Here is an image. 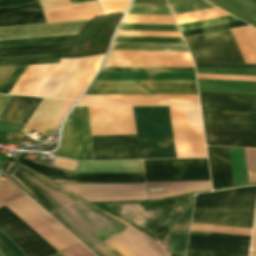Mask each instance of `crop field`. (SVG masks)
Wrapping results in <instances>:
<instances>
[{
  "mask_svg": "<svg viewBox=\"0 0 256 256\" xmlns=\"http://www.w3.org/2000/svg\"><path fill=\"white\" fill-rule=\"evenodd\" d=\"M71 45L72 43L0 48V57L66 53Z\"/></svg>",
  "mask_w": 256,
  "mask_h": 256,
  "instance_id": "4177f3b9",
  "label": "crop field"
},
{
  "mask_svg": "<svg viewBox=\"0 0 256 256\" xmlns=\"http://www.w3.org/2000/svg\"><path fill=\"white\" fill-rule=\"evenodd\" d=\"M27 67L28 66H18V68L15 70V72L10 77L0 93L8 94L12 87L15 85V83L18 81V79L21 77V75L24 73V71L27 69Z\"/></svg>",
  "mask_w": 256,
  "mask_h": 256,
  "instance_id": "5d738f31",
  "label": "crop field"
},
{
  "mask_svg": "<svg viewBox=\"0 0 256 256\" xmlns=\"http://www.w3.org/2000/svg\"><path fill=\"white\" fill-rule=\"evenodd\" d=\"M58 156L94 160L87 107H75L67 118Z\"/></svg>",
  "mask_w": 256,
  "mask_h": 256,
  "instance_id": "28ad6ade",
  "label": "crop field"
},
{
  "mask_svg": "<svg viewBox=\"0 0 256 256\" xmlns=\"http://www.w3.org/2000/svg\"><path fill=\"white\" fill-rule=\"evenodd\" d=\"M101 72H194V68H102Z\"/></svg>",
  "mask_w": 256,
  "mask_h": 256,
  "instance_id": "028f5c9d",
  "label": "crop field"
},
{
  "mask_svg": "<svg viewBox=\"0 0 256 256\" xmlns=\"http://www.w3.org/2000/svg\"><path fill=\"white\" fill-rule=\"evenodd\" d=\"M59 58H66V54L34 57L0 58V66L58 63Z\"/></svg>",
  "mask_w": 256,
  "mask_h": 256,
  "instance_id": "ae1a2a85",
  "label": "crop field"
},
{
  "mask_svg": "<svg viewBox=\"0 0 256 256\" xmlns=\"http://www.w3.org/2000/svg\"><path fill=\"white\" fill-rule=\"evenodd\" d=\"M53 256H61L59 253H57V254H55V255H53Z\"/></svg>",
  "mask_w": 256,
  "mask_h": 256,
  "instance_id": "7b73153f",
  "label": "crop field"
},
{
  "mask_svg": "<svg viewBox=\"0 0 256 256\" xmlns=\"http://www.w3.org/2000/svg\"><path fill=\"white\" fill-rule=\"evenodd\" d=\"M47 23L102 17L96 1L43 11Z\"/></svg>",
  "mask_w": 256,
  "mask_h": 256,
  "instance_id": "bc2a9ffb",
  "label": "crop field"
},
{
  "mask_svg": "<svg viewBox=\"0 0 256 256\" xmlns=\"http://www.w3.org/2000/svg\"><path fill=\"white\" fill-rule=\"evenodd\" d=\"M250 256H256V250L255 251H251V255Z\"/></svg>",
  "mask_w": 256,
  "mask_h": 256,
  "instance_id": "db79e9e6",
  "label": "crop field"
},
{
  "mask_svg": "<svg viewBox=\"0 0 256 256\" xmlns=\"http://www.w3.org/2000/svg\"><path fill=\"white\" fill-rule=\"evenodd\" d=\"M233 21H239V20L232 16H228V17L204 20V21H199V22L181 24L179 26H180L181 30L184 31V30L201 28V27L217 25V24H222V23H228V22H233Z\"/></svg>",
  "mask_w": 256,
  "mask_h": 256,
  "instance_id": "b80d0937",
  "label": "crop field"
},
{
  "mask_svg": "<svg viewBox=\"0 0 256 256\" xmlns=\"http://www.w3.org/2000/svg\"><path fill=\"white\" fill-rule=\"evenodd\" d=\"M196 67L253 69L245 64L229 29L184 38Z\"/></svg>",
  "mask_w": 256,
  "mask_h": 256,
  "instance_id": "e52e79f7",
  "label": "crop field"
},
{
  "mask_svg": "<svg viewBox=\"0 0 256 256\" xmlns=\"http://www.w3.org/2000/svg\"><path fill=\"white\" fill-rule=\"evenodd\" d=\"M76 37L77 36L32 39V40H18V41H4V42H0V47L74 42Z\"/></svg>",
  "mask_w": 256,
  "mask_h": 256,
  "instance_id": "bd1437ed",
  "label": "crop field"
},
{
  "mask_svg": "<svg viewBox=\"0 0 256 256\" xmlns=\"http://www.w3.org/2000/svg\"><path fill=\"white\" fill-rule=\"evenodd\" d=\"M127 14L172 15L167 5L131 4Z\"/></svg>",
  "mask_w": 256,
  "mask_h": 256,
  "instance_id": "750c4746",
  "label": "crop field"
},
{
  "mask_svg": "<svg viewBox=\"0 0 256 256\" xmlns=\"http://www.w3.org/2000/svg\"><path fill=\"white\" fill-rule=\"evenodd\" d=\"M53 164L57 165L59 167L65 168L67 170L73 171L77 162L67 161V160H62V159L56 158Z\"/></svg>",
  "mask_w": 256,
  "mask_h": 256,
  "instance_id": "1f2cbd36",
  "label": "crop field"
},
{
  "mask_svg": "<svg viewBox=\"0 0 256 256\" xmlns=\"http://www.w3.org/2000/svg\"><path fill=\"white\" fill-rule=\"evenodd\" d=\"M77 105H199L197 96H83Z\"/></svg>",
  "mask_w": 256,
  "mask_h": 256,
  "instance_id": "5142ce71",
  "label": "crop field"
},
{
  "mask_svg": "<svg viewBox=\"0 0 256 256\" xmlns=\"http://www.w3.org/2000/svg\"><path fill=\"white\" fill-rule=\"evenodd\" d=\"M41 99L12 96L0 115V120L25 125Z\"/></svg>",
  "mask_w": 256,
  "mask_h": 256,
  "instance_id": "00972430",
  "label": "crop field"
},
{
  "mask_svg": "<svg viewBox=\"0 0 256 256\" xmlns=\"http://www.w3.org/2000/svg\"><path fill=\"white\" fill-rule=\"evenodd\" d=\"M88 1H93V0H70L71 4H77V3L88 2Z\"/></svg>",
  "mask_w": 256,
  "mask_h": 256,
  "instance_id": "447ae74e",
  "label": "crop field"
},
{
  "mask_svg": "<svg viewBox=\"0 0 256 256\" xmlns=\"http://www.w3.org/2000/svg\"><path fill=\"white\" fill-rule=\"evenodd\" d=\"M177 158L206 157L199 107H169Z\"/></svg>",
  "mask_w": 256,
  "mask_h": 256,
  "instance_id": "3316defc",
  "label": "crop field"
},
{
  "mask_svg": "<svg viewBox=\"0 0 256 256\" xmlns=\"http://www.w3.org/2000/svg\"><path fill=\"white\" fill-rule=\"evenodd\" d=\"M170 6L175 15L209 9V8H214V6H212L205 0H195V1H190V2L173 4Z\"/></svg>",
  "mask_w": 256,
  "mask_h": 256,
  "instance_id": "5866460e",
  "label": "crop field"
},
{
  "mask_svg": "<svg viewBox=\"0 0 256 256\" xmlns=\"http://www.w3.org/2000/svg\"><path fill=\"white\" fill-rule=\"evenodd\" d=\"M42 9H50L70 5L68 0H40Z\"/></svg>",
  "mask_w": 256,
  "mask_h": 256,
  "instance_id": "25e5ab78",
  "label": "crop field"
},
{
  "mask_svg": "<svg viewBox=\"0 0 256 256\" xmlns=\"http://www.w3.org/2000/svg\"><path fill=\"white\" fill-rule=\"evenodd\" d=\"M58 64L29 66L9 94L37 96Z\"/></svg>",
  "mask_w": 256,
  "mask_h": 256,
  "instance_id": "733c2abd",
  "label": "crop field"
},
{
  "mask_svg": "<svg viewBox=\"0 0 256 256\" xmlns=\"http://www.w3.org/2000/svg\"><path fill=\"white\" fill-rule=\"evenodd\" d=\"M0 253L3 256H24L16 246L0 232Z\"/></svg>",
  "mask_w": 256,
  "mask_h": 256,
  "instance_id": "03da06ac",
  "label": "crop field"
},
{
  "mask_svg": "<svg viewBox=\"0 0 256 256\" xmlns=\"http://www.w3.org/2000/svg\"><path fill=\"white\" fill-rule=\"evenodd\" d=\"M214 4L233 13L256 26V0H210Z\"/></svg>",
  "mask_w": 256,
  "mask_h": 256,
  "instance_id": "730fd06b",
  "label": "crop field"
},
{
  "mask_svg": "<svg viewBox=\"0 0 256 256\" xmlns=\"http://www.w3.org/2000/svg\"><path fill=\"white\" fill-rule=\"evenodd\" d=\"M16 67H0V90L12 75Z\"/></svg>",
  "mask_w": 256,
  "mask_h": 256,
  "instance_id": "73cf0c24",
  "label": "crop field"
},
{
  "mask_svg": "<svg viewBox=\"0 0 256 256\" xmlns=\"http://www.w3.org/2000/svg\"><path fill=\"white\" fill-rule=\"evenodd\" d=\"M191 230L251 236L252 230L245 228L221 227L192 224Z\"/></svg>",
  "mask_w": 256,
  "mask_h": 256,
  "instance_id": "1d83c4d3",
  "label": "crop field"
},
{
  "mask_svg": "<svg viewBox=\"0 0 256 256\" xmlns=\"http://www.w3.org/2000/svg\"><path fill=\"white\" fill-rule=\"evenodd\" d=\"M92 136H136L132 107H88ZM95 160L140 159L136 137H92Z\"/></svg>",
  "mask_w": 256,
  "mask_h": 256,
  "instance_id": "34b2d1b8",
  "label": "crop field"
},
{
  "mask_svg": "<svg viewBox=\"0 0 256 256\" xmlns=\"http://www.w3.org/2000/svg\"><path fill=\"white\" fill-rule=\"evenodd\" d=\"M11 177L26 191H28L32 197L36 200V202L41 205L47 212H49L55 219H57L62 225H64L70 232H72L78 239H80L86 246L90 249L93 248L92 245L84 241L77 232H75L68 224H66L59 216H57L53 211L62 207L63 205L77 199L76 197L70 195L69 193L63 191L62 189L54 186L53 184L47 182L46 180L38 177L37 175L31 173L30 171L26 170L25 168L18 165L15 169L14 173ZM49 187L50 189L61 193L50 192L47 190L43 185ZM111 244L118 252H120L123 256H167L161 246L152 242L151 240L147 239L140 233L132 230L127 229L124 232L118 234L117 236L113 237L112 239L107 241ZM107 242L102 243L105 247L101 244L99 246L92 249V251L98 256H122L118 253L111 245Z\"/></svg>",
  "mask_w": 256,
  "mask_h": 256,
  "instance_id": "ac0d7876",
  "label": "crop field"
},
{
  "mask_svg": "<svg viewBox=\"0 0 256 256\" xmlns=\"http://www.w3.org/2000/svg\"><path fill=\"white\" fill-rule=\"evenodd\" d=\"M91 22L0 29V41L80 35Z\"/></svg>",
  "mask_w": 256,
  "mask_h": 256,
  "instance_id": "d9b57169",
  "label": "crop field"
},
{
  "mask_svg": "<svg viewBox=\"0 0 256 256\" xmlns=\"http://www.w3.org/2000/svg\"><path fill=\"white\" fill-rule=\"evenodd\" d=\"M213 188L232 186L227 148L207 147Z\"/></svg>",
  "mask_w": 256,
  "mask_h": 256,
  "instance_id": "92a150f3",
  "label": "crop field"
},
{
  "mask_svg": "<svg viewBox=\"0 0 256 256\" xmlns=\"http://www.w3.org/2000/svg\"><path fill=\"white\" fill-rule=\"evenodd\" d=\"M197 78L256 81V77H254V76H231V75L197 74Z\"/></svg>",
  "mask_w": 256,
  "mask_h": 256,
  "instance_id": "d23c7cc5",
  "label": "crop field"
},
{
  "mask_svg": "<svg viewBox=\"0 0 256 256\" xmlns=\"http://www.w3.org/2000/svg\"><path fill=\"white\" fill-rule=\"evenodd\" d=\"M46 23L40 3L0 8V27Z\"/></svg>",
  "mask_w": 256,
  "mask_h": 256,
  "instance_id": "4a817a6b",
  "label": "crop field"
},
{
  "mask_svg": "<svg viewBox=\"0 0 256 256\" xmlns=\"http://www.w3.org/2000/svg\"><path fill=\"white\" fill-rule=\"evenodd\" d=\"M255 248H256V217H255V224H254V231H253L251 249H255Z\"/></svg>",
  "mask_w": 256,
  "mask_h": 256,
  "instance_id": "1d79db26",
  "label": "crop field"
},
{
  "mask_svg": "<svg viewBox=\"0 0 256 256\" xmlns=\"http://www.w3.org/2000/svg\"><path fill=\"white\" fill-rule=\"evenodd\" d=\"M149 199L174 196L171 182L147 183Z\"/></svg>",
  "mask_w": 256,
  "mask_h": 256,
  "instance_id": "d32e631a",
  "label": "crop field"
},
{
  "mask_svg": "<svg viewBox=\"0 0 256 256\" xmlns=\"http://www.w3.org/2000/svg\"><path fill=\"white\" fill-rule=\"evenodd\" d=\"M85 95H197V92L195 81H94Z\"/></svg>",
  "mask_w": 256,
  "mask_h": 256,
  "instance_id": "5a996713",
  "label": "crop field"
},
{
  "mask_svg": "<svg viewBox=\"0 0 256 256\" xmlns=\"http://www.w3.org/2000/svg\"><path fill=\"white\" fill-rule=\"evenodd\" d=\"M64 103L65 101L61 100L43 99L29 121L26 123L23 132L29 133L32 128L43 135Z\"/></svg>",
  "mask_w": 256,
  "mask_h": 256,
  "instance_id": "a9b5d70f",
  "label": "crop field"
},
{
  "mask_svg": "<svg viewBox=\"0 0 256 256\" xmlns=\"http://www.w3.org/2000/svg\"><path fill=\"white\" fill-rule=\"evenodd\" d=\"M104 15L125 11L131 0H97Z\"/></svg>",
  "mask_w": 256,
  "mask_h": 256,
  "instance_id": "e1f06a70",
  "label": "crop field"
},
{
  "mask_svg": "<svg viewBox=\"0 0 256 256\" xmlns=\"http://www.w3.org/2000/svg\"><path fill=\"white\" fill-rule=\"evenodd\" d=\"M141 159L176 158L168 107H133Z\"/></svg>",
  "mask_w": 256,
  "mask_h": 256,
  "instance_id": "dd49c442",
  "label": "crop field"
},
{
  "mask_svg": "<svg viewBox=\"0 0 256 256\" xmlns=\"http://www.w3.org/2000/svg\"><path fill=\"white\" fill-rule=\"evenodd\" d=\"M6 207L58 251L78 242L27 196ZM6 207L0 208V229L25 255L50 256L58 252Z\"/></svg>",
  "mask_w": 256,
  "mask_h": 256,
  "instance_id": "8a807250",
  "label": "crop field"
},
{
  "mask_svg": "<svg viewBox=\"0 0 256 256\" xmlns=\"http://www.w3.org/2000/svg\"><path fill=\"white\" fill-rule=\"evenodd\" d=\"M194 196L189 198V206L179 220L175 223L173 229L166 237V249L178 256H184L186 242L188 237L191 212Z\"/></svg>",
  "mask_w": 256,
  "mask_h": 256,
  "instance_id": "dafd665d",
  "label": "crop field"
},
{
  "mask_svg": "<svg viewBox=\"0 0 256 256\" xmlns=\"http://www.w3.org/2000/svg\"><path fill=\"white\" fill-rule=\"evenodd\" d=\"M207 145L256 147V132L205 129Z\"/></svg>",
  "mask_w": 256,
  "mask_h": 256,
  "instance_id": "214f88e0",
  "label": "crop field"
},
{
  "mask_svg": "<svg viewBox=\"0 0 256 256\" xmlns=\"http://www.w3.org/2000/svg\"><path fill=\"white\" fill-rule=\"evenodd\" d=\"M113 42H167L184 43L183 38L115 37Z\"/></svg>",
  "mask_w": 256,
  "mask_h": 256,
  "instance_id": "c035e120",
  "label": "crop field"
},
{
  "mask_svg": "<svg viewBox=\"0 0 256 256\" xmlns=\"http://www.w3.org/2000/svg\"><path fill=\"white\" fill-rule=\"evenodd\" d=\"M147 182L210 180L206 159L144 161Z\"/></svg>",
  "mask_w": 256,
  "mask_h": 256,
  "instance_id": "22f410ed",
  "label": "crop field"
},
{
  "mask_svg": "<svg viewBox=\"0 0 256 256\" xmlns=\"http://www.w3.org/2000/svg\"><path fill=\"white\" fill-rule=\"evenodd\" d=\"M22 137H23V134H8L7 139L21 140Z\"/></svg>",
  "mask_w": 256,
  "mask_h": 256,
  "instance_id": "9d1cf04e",
  "label": "crop field"
},
{
  "mask_svg": "<svg viewBox=\"0 0 256 256\" xmlns=\"http://www.w3.org/2000/svg\"><path fill=\"white\" fill-rule=\"evenodd\" d=\"M118 30L179 31L176 25L120 24Z\"/></svg>",
  "mask_w": 256,
  "mask_h": 256,
  "instance_id": "0bd39190",
  "label": "crop field"
},
{
  "mask_svg": "<svg viewBox=\"0 0 256 256\" xmlns=\"http://www.w3.org/2000/svg\"><path fill=\"white\" fill-rule=\"evenodd\" d=\"M143 172L142 161L80 162L72 174ZM140 174H89L51 178L59 185L145 183Z\"/></svg>",
  "mask_w": 256,
  "mask_h": 256,
  "instance_id": "d8731c3e",
  "label": "crop field"
},
{
  "mask_svg": "<svg viewBox=\"0 0 256 256\" xmlns=\"http://www.w3.org/2000/svg\"><path fill=\"white\" fill-rule=\"evenodd\" d=\"M199 95L205 128L256 131V94Z\"/></svg>",
  "mask_w": 256,
  "mask_h": 256,
  "instance_id": "f4fd0767",
  "label": "crop field"
},
{
  "mask_svg": "<svg viewBox=\"0 0 256 256\" xmlns=\"http://www.w3.org/2000/svg\"><path fill=\"white\" fill-rule=\"evenodd\" d=\"M246 25L247 24H245L244 22L239 21V22L222 24V25H217V26H212V27L184 31L182 33H183V36L186 37V36H191V35H196V34H201V33H206V32H212V31H217V30H222V29H227V28L246 26Z\"/></svg>",
  "mask_w": 256,
  "mask_h": 256,
  "instance_id": "c21b1889",
  "label": "crop field"
},
{
  "mask_svg": "<svg viewBox=\"0 0 256 256\" xmlns=\"http://www.w3.org/2000/svg\"><path fill=\"white\" fill-rule=\"evenodd\" d=\"M251 237L191 231L186 256H248Z\"/></svg>",
  "mask_w": 256,
  "mask_h": 256,
  "instance_id": "d1516ede",
  "label": "crop field"
},
{
  "mask_svg": "<svg viewBox=\"0 0 256 256\" xmlns=\"http://www.w3.org/2000/svg\"><path fill=\"white\" fill-rule=\"evenodd\" d=\"M184 1H189V0H168L169 4L178 3V2H184Z\"/></svg>",
  "mask_w": 256,
  "mask_h": 256,
  "instance_id": "0765c3eb",
  "label": "crop field"
},
{
  "mask_svg": "<svg viewBox=\"0 0 256 256\" xmlns=\"http://www.w3.org/2000/svg\"><path fill=\"white\" fill-rule=\"evenodd\" d=\"M256 186L196 195L192 222L252 227Z\"/></svg>",
  "mask_w": 256,
  "mask_h": 256,
  "instance_id": "412701ff",
  "label": "crop field"
},
{
  "mask_svg": "<svg viewBox=\"0 0 256 256\" xmlns=\"http://www.w3.org/2000/svg\"><path fill=\"white\" fill-rule=\"evenodd\" d=\"M23 196H25V194L9 181L5 183L0 181V207Z\"/></svg>",
  "mask_w": 256,
  "mask_h": 256,
  "instance_id": "120bbe31",
  "label": "crop field"
},
{
  "mask_svg": "<svg viewBox=\"0 0 256 256\" xmlns=\"http://www.w3.org/2000/svg\"><path fill=\"white\" fill-rule=\"evenodd\" d=\"M112 50L188 52L185 44L113 43Z\"/></svg>",
  "mask_w": 256,
  "mask_h": 256,
  "instance_id": "eef30255",
  "label": "crop field"
},
{
  "mask_svg": "<svg viewBox=\"0 0 256 256\" xmlns=\"http://www.w3.org/2000/svg\"><path fill=\"white\" fill-rule=\"evenodd\" d=\"M11 96L8 95H0V113L3 110L4 106L8 102Z\"/></svg>",
  "mask_w": 256,
  "mask_h": 256,
  "instance_id": "0fb4a251",
  "label": "crop field"
},
{
  "mask_svg": "<svg viewBox=\"0 0 256 256\" xmlns=\"http://www.w3.org/2000/svg\"><path fill=\"white\" fill-rule=\"evenodd\" d=\"M133 3L167 4L165 0H134Z\"/></svg>",
  "mask_w": 256,
  "mask_h": 256,
  "instance_id": "dbb93151",
  "label": "crop field"
},
{
  "mask_svg": "<svg viewBox=\"0 0 256 256\" xmlns=\"http://www.w3.org/2000/svg\"><path fill=\"white\" fill-rule=\"evenodd\" d=\"M104 67H194L189 53L110 51Z\"/></svg>",
  "mask_w": 256,
  "mask_h": 256,
  "instance_id": "cbeb9de0",
  "label": "crop field"
},
{
  "mask_svg": "<svg viewBox=\"0 0 256 256\" xmlns=\"http://www.w3.org/2000/svg\"><path fill=\"white\" fill-rule=\"evenodd\" d=\"M246 151H247L249 166L256 165V150L246 149ZM246 162H247V158H246ZM247 166H248V164H247ZM247 169H248L250 183L256 182V166L247 167Z\"/></svg>",
  "mask_w": 256,
  "mask_h": 256,
  "instance_id": "b54c1fbb",
  "label": "crop field"
},
{
  "mask_svg": "<svg viewBox=\"0 0 256 256\" xmlns=\"http://www.w3.org/2000/svg\"><path fill=\"white\" fill-rule=\"evenodd\" d=\"M18 161L44 177L63 176L70 174V172L36 162L22 155L20 156Z\"/></svg>",
  "mask_w": 256,
  "mask_h": 256,
  "instance_id": "d3111659",
  "label": "crop field"
},
{
  "mask_svg": "<svg viewBox=\"0 0 256 256\" xmlns=\"http://www.w3.org/2000/svg\"><path fill=\"white\" fill-rule=\"evenodd\" d=\"M80 244L81 243H78V244H76V245H74V246H72V247H70V248L60 252V254L65 252V251H67V250H69V249H71V248H74V247H76V246H78ZM83 246L80 245V246H78V247H76V248H74L72 250H69V251L63 253V255L64 256H94V255H92L93 254L92 252H91L92 253L91 254L86 248H84L85 246L84 247Z\"/></svg>",
  "mask_w": 256,
  "mask_h": 256,
  "instance_id": "425ffa30",
  "label": "crop field"
},
{
  "mask_svg": "<svg viewBox=\"0 0 256 256\" xmlns=\"http://www.w3.org/2000/svg\"><path fill=\"white\" fill-rule=\"evenodd\" d=\"M39 0H0V7L4 6H17L32 2H37Z\"/></svg>",
  "mask_w": 256,
  "mask_h": 256,
  "instance_id": "89e229c0",
  "label": "crop field"
}]
</instances>
